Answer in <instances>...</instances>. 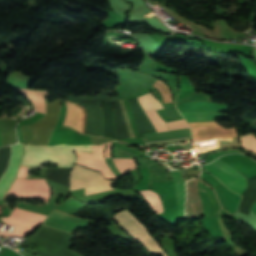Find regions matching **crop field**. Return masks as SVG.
<instances>
[{
    "instance_id": "dafd665d",
    "label": "crop field",
    "mask_w": 256,
    "mask_h": 256,
    "mask_svg": "<svg viewBox=\"0 0 256 256\" xmlns=\"http://www.w3.org/2000/svg\"><path fill=\"white\" fill-rule=\"evenodd\" d=\"M120 106H121V109L123 111V114H124V118H125V122H126V126H127V129H128V133H129V137L130 138H133L135 137L134 135V132H133V129H132V126L130 124V121H129V118H128V115H127V112L125 110V107H124V104H123V101L120 100Z\"/></svg>"
},
{
    "instance_id": "bc2a9ffb",
    "label": "crop field",
    "mask_w": 256,
    "mask_h": 256,
    "mask_svg": "<svg viewBox=\"0 0 256 256\" xmlns=\"http://www.w3.org/2000/svg\"><path fill=\"white\" fill-rule=\"evenodd\" d=\"M240 139L244 148L256 153V139L251 134L241 136Z\"/></svg>"
},
{
    "instance_id": "92a150f3",
    "label": "crop field",
    "mask_w": 256,
    "mask_h": 256,
    "mask_svg": "<svg viewBox=\"0 0 256 256\" xmlns=\"http://www.w3.org/2000/svg\"><path fill=\"white\" fill-rule=\"evenodd\" d=\"M169 130H174V129H180V128H186L189 127L188 124L185 122L184 119L177 120V121H172L166 123Z\"/></svg>"
},
{
    "instance_id": "ac0d7876",
    "label": "crop field",
    "mask_w": 256,
    "mask_h": 256,
    "mask_svg": "<svg viewBox=\"0 0 256 256\" xmlns=\"http://www.w3.org/2000/svg\"><path fill=\"white\" fill-rule=\"evenodd\" d=\"M122 229L128 232L136 242H140L150 254L166 256L155 240L148 234L146 228L130 214L129 210L124 209L114 216Z\"/></svg>"
},
{
    "instance_id": "cbeb9de0",
    "label": "crop field",
    "mask_w": 256,
    "mask_h": 256,
    "mask_svg": "<svg viewBox=\"0 0 256 256\" xmlns=\"http://www.w3.org/2000/svg\"><path fill=\"white\" fill-rule=\"evenodd\" d=\"M138 101L144 111L163 108L159 101L153 98L151 94H145L138 97Z\"/></svg>"
},
{
    "instance_id": "34b2d1b8",
    "label": "crop field",
    "mask_w": 256,
    "mask_h": 256,
    "mask_svg": "<svg viewBox=\"0 0 256 256\" xmlns=\"http://www.w3.org/2000/svg\"><path fill=\"white\" fill-rule=\"evenodd\" d=\"M115 182L106 181L100 173L77 165H74L70 178L71 190L85 187V195L111 190L110 186Z\"/></svg>"
},
{
    "instance_id": "d8731c3e",
    "label": "crop field",
    "mask_w": 256,
    "mask_h": 256,
    "mask_svg": "<svg viewBox=\"0 0 256 256\" xmlns=\"http://www.w3.org/2000/svg\"><path fill=\"white\" fill-rule=\"evenodd\" d=\"M22 150V144H15L12 146V155L8 171L6 170L7 172L0 179V196L4 195L16 175L19 161L22 156Z\"/></svg>"
},
{
    "instance_id": "dd49c442",
    "label": "crop field",
    "mask_w": 256,
    "mask_h": 256,
    "mask_svg": "<svg viewBox=\"0 0 256 256\" xmlns=\"http://www.w3.org/2000/svg\"><path fill=\"white\" fill-rule=\"evenodd\" d=\"M194 135V142L215 137H238L235 128L223 129L215 121L189 123Z\"/></svg>"
},
{
    "instance_id": "28ad6ade",
    "label": "crop field",
    "mask_w": 256,
    "mask_h": 256,
    "mask_svg": "<svg viewBox=\"0 0 256 256\" xmlns=\"http://www.w3.org/2000/svg\"><path fill=\"white\" fill-rule=\"evenodd\" d=\"M187 122L193 121H211L227 118L228 116L221 113H207V112H181Z\"/></svg>"
},
{
    "instance_id": "412701ff",
    "label": "crop field",
    "mask_w": 256,
    "mask_h": 256,
    "mask_svg": "<svg viewBox=\"0 0 256 256\" xmlns=\"http://www.w3.org/2000/svg\"><path fill=\"white\" fill-rule=\"evenodd\" d=\"M215 177L220 179L226 186L230 189L244 194L246 190V179L243 175L239 174L226 164L222 163L219 160H216L213 163L206 164L201 166Z\"/></svg>"
},
{
    "instance_id": "00972430",
    "label": "crop field",
    "mask_w": 256,
    "mask_h": 256,
    "mask_svg": "<svg viewBox=\"0 0 256 256\" xmlns=\"http://www.w3.org/2000/svg\"><path fill=\"white\" fill-rule=\"evenodd\" d=\"M28 170L30 169L19 168L17 177H28Z\"/></svg>"
},
{
    "instance_id": "5142ce71",
    "label": "crop field",
    "mask_w": 256,
    "mask_h": 256,
    "mask_svg": "<svg viewBox=\"0 0 256 256\" xmlns=\"http://www.w3.org/2000/svg\"><path fill=\"white\" fill-rule=\"evenodd\" d=\"M151 205L155 212L161 213L163 212V208L159 199V196L152 191H143L139 192Z\"/></svg>"
},
{
    "instance_id": "22f410ed",
    "label": "crop field",
    "mask_w": 256,
    "mask_h": 256,
    "mask_svg": "<svg viewBox=\"0 0 256 256\" xmlns=\"http://www.w3.org/2000/svg\"><path fill=\"white\" fill-rule=\"evenodd\" d=\"M214 140L217 147L199 150L197 151V155L205 154V153H209V152H213V151H217L225 148H230V147H240L237 141V138H215Z\"/></svg>"
},
{
    "instance_id": "f4fd0767",
    "label": "crop field",
    "mask_w": 256,
    "mask_h": 256,
    "mask_svg": "<svg viewBox=\"0 0 256 256\" xmlns=\"http://www.w3.org/2000/svg\"><path fill=\"white\" fill-rule=\"evenodd\" d=\"M106 145L101 147H93V154L86 152H75L78 156L77 164L93 169L95 171L100 170L105 179L116 180V176L107 167L103 151Z\"/></svg>"
},
{
    "instance_id": "3316defc",
    "label": "crop field",
    "mask_w": 256,
    "mask_h": 256,
    "mask_svg": "<svg viewBox=\"0 0 256 256\" xmlns=\"http://www.w3.org/2000/svg\"><path fill=\"white\" fill-rule=\"evenodd\" d=\"M9 86L15 89L16 91L20 92L24 96H26L29 100H31L37 112H41L45 114V97L49 91L28 90V89L18 88L13 85H9Z\"/></svg>"
},
{
    "instance_id": "5a996713",
    "label": "crop field",
    "mask_w": 256,
    "mask_h": 256,
    "mask_svg": "<svg viewBox=\"0 0 256 256\" xmlns=\"http://www.w3.org/2000/svg\"><path fill=\"white\" fill-rule=\"evenodd\" d=\"M66 106H67V114H66L64 125H68L84 133V123H85V117H86L84 108L69 101H66Z\"/></svg>"
},
{
    "instance_id": "8a807250",
    "label": "crop field",
    "mask_w": 256,
    "mask_h": 256,
    "mask_svg": "<svg viewBox=\"0 0 256 256\" xmlns=\"http://www.w3.org/2000/svg\"><path fill=\"white\" fill-rule=\"evenodd\" d=\"M51 193L45 179H15L9 191L5 195L18 198H43L46 203ZM46 216L31 213L15 208L11 215L2 218L7 225L15 226L12 233L2 231L0 236H20L29 235L38 225H40Z\"/></svg>"
},
{
    "instance_id": "d1516ede",
    "label": "crop field",
    "mask_w": 256,
    "mask_h": 256,
    "mask_svg": "<svg viewBox=\"0 0 256 256\" xmlns=\"http://www.w3.org/2000/svg\"><path fill=\"white\" fill-rule=\"evenodd\" d=\"M146 142L191 136L190 129L143 135Z\"/></svg>"
},
{
    "instance_id": "e52e79f7",
    "label": "crop field",
    "mask_w": 256,
    "mask_h": 256,
    "mask_svg": "<svg viewBox=\"0 0 256 256\" xmlns=\"http://www.w3.org/2000/svg\"><path fill=\"white\" fill-rule=\"evenodd\" d=\"M159 162L163 167H165L172 175L174 180L175 186V197H176V207H177V218L178 221L180 218H185L184 215V203H185V187H184V180L177 170L170 167L168 164L156 160Z\"/></svg>"
},
{
    "instance_id": "a9b5d70f",
    "label": "crop field",
    "mask_w": 256,
    "mask_h": 256,
    "mask_svg": "<svg viewBox=\"0 0 256 256\" xmlns=\"http://www.w3.org/2000/svg\"><path fill=\"white\" fill-rule=\"evenodd\" d=\"M111 155V142L108 143L107 148L105 150V158L110 157Z\"/></svg>"
},
{
    "instance_id": "d9b57169",
    "label": "crop field",
    "mask_w": 256,
    "mask_h": 256,
    "mask_svg": "<svg viewBox=\"0 0 256 256\" xmlns=\"http://www.w3.org/2000/svg\"><path fill=\"white\" fill-rule=\"evenodd\" d=\"M113 160L117 169L121 172L122 175L137 168L134 164V159L113 158Z\"/></svg>"
},
{
    "instance_id": "214f88e0",
    "label": "crop field",
    "mask_w": 256,
    "mask_h": 256,
    "mask_svg": "<svg viewBox=\"0 0 256 256\" xmlns=\"http://www.w3.org/2000/svg\"><path fill=\"white\" fill-rule=\"evenodd\" d=\"M189 100H209V101H211L210 98L206 94L196 93V94H192V95H187V96L179 99L178 101H176V103L189 101Z\"/></svg>"
},
{
    "instance_id": "733c2abd",
    "label": "crop field",
    "mask_w": 256,
    "mask_h": 256,
    "mask_svg": "<svg viewBox=\"0 0 256 256\" xmlns=\"http://www.w3.org/2000/svg\"><path fill=\"white\" fill-rule=\"evenodd\" d=\"M160 93V95L163 98L164 103L172 102L171 99V92L168 89L167 85L164 84L161 81L156 80V82L153 85Z\"/></svg>"
},
{
    "instance_id": "4a817a6b",
    "label": "crop field",
    "mask_w": 256,
    "mask_h": 256,
    "mask_svg": "<svg viewBox=\"0 0 256 256\" xmlns=\"http://www.w3.org/2000/svg\"><path fill=\"white\" fill-rule=\"evenodd\" d=\"M147 114L155 126L157 132L168 130L165 122L158 116L155 111L147 112Z\"/></svg>"
}]
</instances>
